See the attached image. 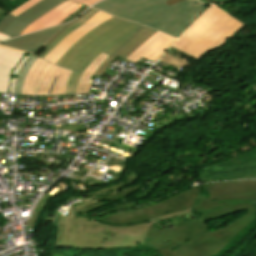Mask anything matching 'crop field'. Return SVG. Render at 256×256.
<instances>
[{
  "label": "crop field",
  "instance_id": "obj_1",
  "mask_svg": "<svg viewBox=\"0 0 256 256\" xmlns=\"http://www.w3.org/2000/svg\"><path fill=\"white\" fill-rule=\"evenodd\" d=\"M241 201L256 203V180L196 186L149 207L90 221L85 217L67 216L63 219L65 223L62 240L58 243L60 225L56 247L104 249L143 246L157 250L162 256H212L222 250L241 229L256 218V208L252 205L254 203H241L203 214L198 212ZM191 209L199 219L175 224L177 228L167 230H159L151 225L184 214ZM244 209L248 210V215L209 233L205 223L207 220ZM68 219L72 222L69 241H67ZM75 222H78L79 242H76ZM83 224H86V229L84 243H81ZM92 226L94 230L89 234L90 243H87L86 234ZM106 230L117 233L114 239L101 234Z\"/></svg>",
  "mask_w": 256,
  "mask_h": 256
},
{
  "label": "crop field",
  "instance_id": "obj_2",
  "mask_svg": "<svg viewBox=\"0 0 256 256\" xmlns=\"http://www.w3.org/2000/svg\"><path fill=\"white\" fill-rule=\"evenodd\" d=\"M164 1L103 0L94 7L178 38L208 5L199 0H184L169 6Z\"/></svg>",
  "mask_w": 256,
  "mask_h": 256
},
{
  "label": "crop field",
  "instance_id": "obj_3",
  "mask_svg": "<svg viewBox=\"0 0 256 256\" xmlns=\"http://www.w3.org/2000/svg\"><path fill=\"white\" fill-rule=\"evenodd\" d=\"M142 27L143 25L113 17L76 42L55 63L78 71L70 75L65 94L75 93L81 75L102 52L111 56Z\"/></svg>",
  "mask_w": 256,
  "mask_h": 256
},
{
  "label": "crop field",
  "instance_id": "obj_4",
  "mask_svg": "<svg viewBox=\"0 0 256 256\" xmlns=\"http://www.w3.org/2000/svg\"><path fill=\"white\" fill-rule=\"evenodd\" d=\"M243 26L211 3L172 47L199 59L213 49L223 46L226 40Z\"/></svg>",
  "mask_w": 256,
  "mask_h": 256
},
{
  "label": "crop field",
  "instance_id": "obj_5",
  "mask_svg": "<svg viewBox=\"0 0 256 256\" xmlns=\"http://www.w3.org/2000/svg\"><path fill=\"white\" fill-rule=\"evenodd\" d=\"M202 182L256 177V148L220 164L200 168Z\"/></svg>",
  "mask_w": 256,
  "mask_h": 256
},
{
  "label": "crop field",
  "instance_id": "obj_6",
  "mask_svg": "<svg viewBox=\"0 0 256 256\" xmlns=\"http://www.w3.org/2000/svg\"><path fill=\"white\" fill-rule=\"evenodd\" d=\"M65 0H43L17 18L7 14L0 21V33L9 37L19 36L30 24Z\"/></svg>",
  "mask_w": 256,
  "mask_h": 256
},
{
  "label": "crop field",
  "instance_id": "obj_7",
  "mask_svg": "<svg viewBox=\"0 0 256 256\" xmlns=\"http://www.w3.org/2000/svg\"><path fill=\"white\" fill-rule=\"evenodd\" d=\"M111 18V16L99 11L93 18L87 21L82 26L75 29L73 32L68 34L64 39H62L45 57L44 59L55 63L56 60L77 40L82 38L89 31L94 29L96 26Z\"/></svg>",
  "mask_w": 256,
  "mask_h": 256
},
{
  "label": "crop field",
  "instance_id": "obj_8",
  "mask_svg": "<svg viewBox=\"0 0 256 256\" xmlns=\"http://www.w3.org/2000/svg\"><path fill=\"white\" fill-rule=\"evenodd\" d=\"M175 40L176 39L172 37L158 32L131 54L127 60L137 62L143 57L156 62Z\"/></svg>",
  "mask_w": 256,
  "mask_h": 256
},
{
  "label": "crop field",
  "instance_id": "obj_9",
  "mask_svg": "<svg viewBox=\"0 0 256 256\" xmlns=\"http://www.w3.org/2000/svg\"><path fill=\"white\" fill-rule=\"evenodd\" d=\"M81 6L82 4L67 0L35 21L21 35L55 26L66 19Z\"/></svg>",
  "mask_w": 256,
  "mask_h": 256
},
{
  "label": "crop field",
  "instance_id": "obj_10",
  "mask_svg": "<svg viewBox=\"0 0 256 256\" xmlns=\"http://www.w3.org/2000/svg\"><path fill=\"white\" fill-rule=\"evenodd\" d=\"M156 32L146 26H144L138 33L130 38L120 49H118L111 57L109 56L96 70L95 76L102 77L108 67L114 62L117 56L126 59L131 53H133L141 44L149 39Z\"/></svg>",
  "mask_w": 256,
  "mask_h": 256
},
{
  "label": "crop field",
  "instance_id": "obj_11",
  "mask_svg": "<svg viewBox=\"0 0 256 256\" xmlns=\"http://www.w3.org/2000/svg\"><path fill=\"white\" fill-rule=\"evenodd\" d=\"M64 25H60L57 27H53L47 30L40 31L38 33L30 34L21 38L13 39L5 42L4 44L7 46H11L14 48L22 49L29 51L35 54L38 50H40L46 42Z\"/></svg>",
  "mask_w": 256,
  "mask_h": 256
},
{
  "label": "crop field",
  "instance_id": "obj_12",
  "mask_svg": "<svg viewBox=\"0 0 256 256\" xmlns=\"http://www.w3.org/2000/svg\"><path fill=\"white\" fill-rule=\"evenodd\" d=\"M24 55L0 48V92L8 93L12 68Z\"/></svg>",
  "mask_w": 256,
  "mask_h": 256
},
{
  "label": "crop field",
  "instance_id": "obj_13",
  "mask_svg": "<svg viewBox=\"0 0 256 256\" xmlns=\"http://www.w3.org/2000/svg\"><path fill=\"white\" fill-rule=\"evenodd\" d=\"M98 10L95 9H88L84 14L79 16L78 19L67 23L64 28H62L60 31H58L45 45L48 49L42 53L39 57L43 58L63 37H65L68 33H70L72 30L80 26L81 24L85 23L87 20H89L92 16H94ZM64 39V38H63Z\"/></svg>",
  "mask_w": 256,
  "mask_h": 256
},
{
  "label": "crop field",
  "instance_id": "obj_14",
  "mask_svg": "<svg viewBox=\"0 0 256 256\" xmlns=\"http://www.w3.org/2000/svg\"><path fill=\"white\" fill-rule=\"evenodd\" d=\"M48 64L49 62L38 58L25 78L22 94L34 95L39 79Z\"/></svg>",
  "mask_w": 256,
  "mask_h": 256
},
{
  "label": "crop field",
  "instance_id": "obj_15",
  "mask_svg": "<svg viewBox=\"0 0 256 256\" xmlns=\"http://www.w3.org/2000/svg\"><path fill=\"white\" fill-rule=\"evenodd\" d=\"M108 57V55L102 53L89 67L88 69L85 71V73L82 75L79 84H78V88H77V92L76 93H81V92H87V85L88 82L91 78V76L93 75V73L95 72V70L97 69V67Z\"/></svg>",
  "mask_w": 256,
  "mask_h": 256
},
{
  "label": "crop field",
  "instance_id": "obj_16",
  "mask_svg": "<svg viewBox=\"0 0 256 256\" xmlns=\"http://www.w3.org/2000/svg\"><path fill=\"white\" fill-rule=\"evenodd\" d=\"M145 182V179H142V181L130 188L124 189L122 191H115V192H111V193H107L104 195H100L88 200H113V201H118L124 197H127L129 195H131L132 193H134L135 191H137L139 188L142 187L143 183ZM87 201V200H86Z\"/></svg>",
  "mask_w": 256,
  "mask_h": 256
},
{
  "label": "crop field",
  "instance_id": "obj_17",
  "mask_svg": "<svg viewBox=\"0 0 256 256\" xmlns=\"http://www.w3.org/2000/svg\"><path fill=\"white\" fill-rule=\"evenodd\" d=\"M158 183H159V180L152 179L150 181V183L148 184L147 188L144 191H142L140 194H138L136 197H134L118 206L107 209V210H105V212L108 213V212H112V211H116V210H120V209L138 205L140 199H142L145 195H147L153 189V187Z\"/></svg>",
  "mask_w": 256,
  "mask_h": 256
},
{
  "label": "crop field",
  "instance_id": "obj_18",
  "mask_svg": "<svg viewBox=\"0 0 256 256\" xmlns=\"http://www.w3.org/2000/svg\"><path fill=\"white\" fill-rule=\"evenodd\" d=\"M141 175H142V173L130 172V174L127 177L126 180L118 183L115 186L105 188V189H102V190H98V191L90 192V193H88V197L95 196V195H98V194H101V193H104V192H108V191H114L118 188H123V187L130 186V185L134 184Z\"/></svg>",
  "mask_w": 256,
  "mask_h": 256
},
{
  "label": "crop field",
  "instance_id": "obj_19",
  "mask_svg": "<svg viewBox=\"0 0 256 256\" xmlns=\"http://www.w3.org/2000/svg\"><path fill=\"white\" fill-rule=\"evenodd\" d=\"M59 67L51 64V66L49 67V69L47 70L40 86H39V90H38V94L39 96H45L48 95L49 93V89L51 87L52 81L54 79V76L56 74V72L58 71Z\"/></svg>",
  "mask_w": 256,
  "mask_h": 256
},
{
  "label": "crop field",
  "instance_id": "obj_20",
  "mask_svg": "<svg viewBox=\"0 0 256 256\" xmlns=\"http://www.w3.org/2000/svg\"><path fill=\"white\" fill-rule=\"evenodd\" d=\"M195 218H197V217L194 214V212L191 210L190 212H188L184 215L176 216L175 218L167 219L165 221L158 222V223H155L152 225L158 227L159 229H167V228L175 227L173 225L175 223H179V222H183L185 220H190V219H195Z\"/></svg>",
  "mask_w": 256,
  "mask_h": 256
},
{
  "label": "crop field",
  "instance_id": "obj_21",
  "mask_svg": "<svg viewBox=\"0 0 256 256\" xmlns=\"http://www.w3.org/2000/svg\"><path fill=\"white\" fill-rule=\"evenodd\" d=\"M70 73H71V71H68V70L62 68V70L60 71V73L58 74V76L55 80L51 95L64 94L65 87H66Z\"/></svg>",
  "mask_w": 256,
  "mask_h": 256
},
{
  "label": "crop field",
  "instance_id": "obj_22",
  "mask_svg": "<svg viewBox=\"0 0 256 256\" xmlns=\"http://www.w3.org/2000/svg\"><path fill=\"white\" fill-rule=\"evenodd\" d=\"M38 57L33 56L29 59V61L26 63V65L24 66V68L22 69V71L19 73L18 79H17V84H16V88H15V92L17 94H21L22 91V85H23V81L24 78L28 72V70L31 68V66L33 65V63L36 61Z\"/></svg>",
  "mask_w": 256,
  "mask_h": 256
},
{
  "label": "crop field",
  "instance_id": "obj_23",
  "mask_svg": "<svg viewBox=\"0 0 256 256\" xmlns=\"http://www.w3.org/2000/svg\"><path fill=\"white\" fill-rule=\"evenodd\" d=\"M40 1H42V0H29L27 3L18 7L17 9L13 10L10 13L17 17L19 14H21L22 12H24L25 10H27L28 8L32 7L33 5H35L36 3L40 2ZM76 1H79V2H82L84 4L91 6V5L99 2L100 0H76Z\"/></svg>",
  "mask_w": 256,
  "mask_h": 256
},
{
  "label": "crop field",
  "instance_id": "obj_24",
  "mask_svg": "<svg viewBox=\"0 0 256 256\" xmlns=\"http://www.w3.org/2000/svg\"><path fill=\"white\" fill-rule=\"evenodd\" d=\"M167 53L173 55V56H176L177 58L181 59V60H185L186 58H188L189 60L187 62L193 64V65H197L199 63V60L177 50V49H174L172 47L169 48V50L167 51ZM186 61V60H185Z\"/></svg>",
  "mask_w": 256,
  "mask_h": 256
},
{
  "label": "crop field",
  "instance_id": "obj_25",
  "mask_svg": "<svg viewBox=\"0 0 256 256\" xmlns=\"http://www.w3.org/2000/svg\"><path fill=\"white\" fill-rule=\"evenodd\" d=\"M95 202H99V203H105L106 205H108V204H110V203H112L113 201H92V202H88V203H85V204H83V205H80V206H77V207H75V208H72V209H70V210H68V211H70V212H72L73 214L76 212V213H78L79 215L80 214H85V215H87L88 217H90L86 212L85 213H83V212H81V211H79L78 209H80V208H82V207H85V206H87V205H90V204H93V203H95ZM106 205H104V206H106ZM101 207H103V206H101ZM100 208V207H99ZM97 209V208H96ZM94 210V209H93ZM91 211V210H90ZM91 218V217H90Z\"/></svg>",
  "mask_w": 256,
  "mask_h": 256
},
{
  "label": "crop field",
  "instance_id": "obj_26",
  "mask_svg": "<svg viewBox=\"0 0 256 256\" xmlns=\"http://www.w3.org/2000/svg\"><path fill=\"white\" fill-rule=\"evenodd\" d=\"M101 205H104V204L95 203V204H93V205H90V206H88V207L82 208V209H80V210L83 211V212H85V211H88V210H90V209L99 207V206H101Z\"/></svg>",
  "mask_w": 256,
  "mask_h": 256
},
{
  "label": "crop field",
  "instance_id": "obj_27",
  "mask_svg": "<svg viewBox=\"0 0 256 256\" xmlns=\"http://www.w3.org/2000/svg\"><path fill=\"white\" fill-rule=\"evenodd\" d=\"M59 215H60V213L58 212V213H57V216H56V219H55V221H54V223H53L52 226L57 227V225H58V220H59Z\"/></svg>",
  "mask_w": 256,
  "mask_h": 256
},
{
  "label": "crop field",
  "instance_id": "obj_28",
  "mask_svg": "<svg viewBox=\"0 0 256 256\" xmlns=\"http://www.w3.org/2000/svg\"><path fill=\"white\" fill-rule=\"evenodd\" d=\"M8 38H9V37L0 34V42H2V41L5 40V39H8Z\"/></svg>",
  "mask_w": 256,
  "mask_h": 256
},
{
  "label": "crop field",
  "instance_id": "obj_29",
  "mask_svg": "<svg viewBox=\"0 0 256 256\" xmlns=\"http://www.w3.org/2000/svg\"><path fill=\"white\" fill-rule=\"evenodd\" d=\"M0 47L7 48V49H11V50H15V51H19V52H22V51H20V50L12 49V48L5 47V46H1V45H0ZM23 53H24V52H23ZM25 54H26V53H25Z\"/></svg>",
  "mask_w": 256,
  "mask_h": 256
},
{
  "label": "crop field",
  "instance_id": "obj_30",
  "mask_svg": "<svg viewBox=\"0 0 256 256\" xmlns=\"http://www.w3.org/2000/svg\"><path fill=\"white\" fill-rule=\"evenodd\" d=\"M50 64H51V63H50ZM49 66H50V65H49ZM49 66H48V67H49ZM48 67H47V69H48ZM47 69H46V70H47ZM46 70H45V72H46ZM45 72H44V73H45ZM44 73H43V75H44ZM43 75H42V77H43ZM41 79H42V78H41ZM40 81H41V80H40ZM39 83H40V82H39ZM38 86H39V85H38ZM37 90H38V88H37ZM37 90H36V93H37ZM35 95H36V94H35Z\"/></svg>",
  "mask_w": 256,
  "mask_h": 256
},
{
  "label": "crop field",
  "instance_id": "obj_31",
  "mask_svg": "<svg viewBox=\"0 0 256 256\" xmlns=\"http://www.w3.org/2000/svg\"><path fill=\"white\" fill-rule=\"evenodd\" d=\"M101 214H105V212L102 211V212H99V213H97V214H95V215H101Z\"/></svg>",
  "mask_w": 256,
  "mask_h": 256
},
{
  "label": "crop field",
  "instance_id": "obj_32",
  "mask_svg": "<svg viewBox=\"0 0 256 256\" xmlns=\"http://www.w3.org/2000/svg\"><path fill=\"white\" fill-rule=\"evenodd\" d=\"M63 223H64V221H63ZM63 223H62V229H63ZM62 229H61V234H62ZM61 234H60V240H61ZM60 240H59V242H60Z\"/></svg>",
  "mask_w": 256,
  "mask_h": 256
},
{
  "label": "crop field",
  "instance_id": "obj_33",
  "mask_svg": "<svg viewBox=\"0 0 256 256\" xmlns=\"http://www.w3.org/2000/svg\"><path fill=\"white\" fill-rule=\"evenodd\" d=\"M93 230V228L88 232V234ZM88 234H87V240L89 242V239H88Z\"/></svg>",
  "mask_w": 256,
  "mask_h": 256
},
{
  "label": "crop field",
  "instance_id": "obj_34",
  "mask_svg": "<svg viewBox=\"0 0 256 256\" xmlns=\"http://www.w3.org/2000/svg\"><path fill=\"white\" fill-rule=\"evenodd\" d=\"M76 232H77V223H76ZM77 241H78V232H77Z\"/></svg>",
  "mask_w": 256,
  "mask_h": 256
},
{
  "label": "crop field",
  "instance_id": "obj_35",
  "mask_svg": "<svg viewBox=\"0 0 256 256\" xmlns=\"http://www.w3.org/2000/svg\"><path fill=\"white\" fill-rule=\"evenodd\" d=\"M84 229H85V225H84ZM84 229H83V238H84ZM83 238H82V242H83Z\"/></svg>",
  "mask_w": 256,
  "mask_h": 256
},
{
  "label": "crop field",
  "instance_id": "obj_36",
  "mask_svg": "<svg viewBox=\"0 0 256 256\" xmlns=\"http://www.w3.org/2000/svg\"><path fill=\"white\" fill-rule=\"evenodd\" d=\"M75 215H77V214L75 213ZM77 216H78V217H81L82 215H81V216L77 215ZM84 216H85V215H84ZM86 217H87V216H86ZM89 220H90V218H89Z\"/></svg>",
  "mask_w": 256,
  "mask_h": 256
},
{
  "label": "crop field",
  "instance_id": "obj_37",
  "mask_svg": "<svg viewBox=\"0 0 256 256\" xmlns=\"http://www.w3.org/2000/svg\"><path fill=\"white\" fill-rule=\"evenodd\" d=\"M69 222H70V220H69ZM70 226H71V222H70ZM69 231H70V229H69ZM69 237V236H68Z\"/></svg>",
  "mask_w": 256,
  "mask_h": 256
},
{
  "label": "crop field",
  "instance_id": "obj_38",
  "mask_svg": "<svg viewBox=\"0 0 256 256\" xmlns=\"http://www.w3.org/2000/svg\"><path fill=\"white\" fill-rule=\"evenodd\" d=\"M204 212H206V211H204ZM200 213H203V212H200Z\"/></svg>",
  "mask_w": 256,
  "mask_h": 256
},
{
  "label": "crop field",
  "instance_id": "obj_39",
  "mask_svg": "<svg viewBox=\"0 0 256 256\" xmlns=\"http://www.w3.org/2000/svg\"><path fill=\"white\" fill-rule=\"evenodd\" d=\"M62 218H64V217L62 216ZM62 218H61V219H62Z\"/></svg>",
  "mask_w": 256,
  "mask_h": 256
},
{
  "label": "crop field",
  "instance_id": "obj_40",
  "mask_svg": "<svg viewBox=\"0 0 256 256\" xmlns=\"http://www.w3.org/2000/svg\"><path fill=\"white\" fill-rule=\"evenodd\" d=\"M71 215H73V214H71Z\"/></svg>",
  "mask_w": 256,
  "mask_h": 256
}]
</instances>
